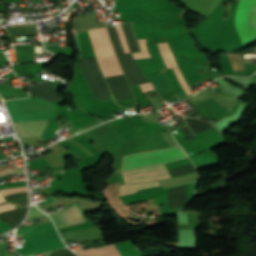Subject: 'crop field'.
I'll use <instances>...</instances> for the list:
<instances>
[{"mask_svg": "<svg viewBox=\"0 0 256 256\" xmlns=\"http://www.w3.org/2000/svg\"><path fill=\"white\" fill-rule=\"evenodd\" d=\"M5 103L13 122L55 119L58 107L39 98L11 100Z\"/></svg>", "mask_w": 256, "mask_h": 256, "instance_id": "crop-field-1", "label": "crop field"}, {"mask_svg": "<svg viewBox=\"0 0 256 256\" xmlns=\"http://www.w3.org/2000/svg\"><path fill=\"white\" fill-rule=\"evenodd\" d=\"M96 55L115 54L106 27L88 31ZM105 79L124 75L115 55L96 56Z\"/></svg>", "mask_w": 256, "mask_h": 256, "instance_id": "crop-field-2", "label": "crop field"}, {"mask_svg": "<svg viewBox=\"0 0 256 256\" xmlns=\"http://www.w3.org/2000/svg\"><path fill=\"white\" fill-rule=\"evenodd\" d=\"M186 157L179 145L170 148L127 155L123 157L122 171L175 161Z\"/></svg>", "mask_w": 256, "mask_h": 256, "instance_id": "crop-field-3", "label": "crop field"}, {"mask_svg": "<svg viewBox=\"0 0 256 256\" xmlns=\"http://www.w3.org/2000/svg\"><path fill=\"white\" fill-rule=\"evenodd\" d=\"M243 46L256 41V0H240L234 20Z\"/></svg>", "mask_w": 256, "mask_h": 256, "instance_id": "crop-field-4", "label": "crop field"}, {"mask_svg": "<svg viewBox=\"0 0 256 256\" xmlns=\"http://www.w3.org/2000/svg\"><path fill=\"white\" fill-rule=\"evenodd\" d=\"M122 174L126 183H136L140 181L164 179L170 177L165 165L137 169L124 172Z\"/></svg>", "mask_w": 256, "mask_h": 256, "instance_id": "crop-field-5", "label": "crop field"}, {"mask_svg": "<svg viewBox=\"0 0 256 256\" xmlns=\"http://www.w3.org/2000/svg\"><path fill=\"white\" fill-rule=\"evenodd\" d=\"M49 215L52 217L57 229L87 221L77 204L71 205L67 209Z\"/></svg>", "mask_w": 256, "mask_h": 256, "instance_id": "crop-field-6", "label": "crop field"}, {"mask_svg": "<svg viewBox=\"0 0 256 256\" xmlns=\"http://www.w3.org/2000/svg\"><path fill=\"white\" fill-rule=\"evenodd\" d=\"M158 47L163 58V61L167 67V69L177 67L176 61L172 54V51L167 42L158 43ZM183 90L186 92L187 95L192 94L179 67L173 69Z\"/></svg>", "mask_w": 256, "mask_h": 256, "instance_id": "crop-field-7", "label": "crop field"}, {"mask_svg": "<svg viewBox=\"0 0 256 256\" xmlns=\"http://www.w3.org/2000/svg\"><path fill=\"white\" fill-rule=\"evenodd\" d=\"M21 137L41 135V132L47 125V120L36 122H18L15 123Z\"/></svg>", "mask_w": 256, "mask_h": 256, "instance_id": "crop-field-8", "label": "crop field"}, {"mask_svg": "<svg viewBox=\"0 0 256 256\" xmlns=\"http://www.w3.org/2000/svg\"><path fill=\"white\" fill-rule=\"evenodd\" d=\"M80 256H120L114 244L76 252Z\"/></svg>", "mask_w": 256, "mask_h": 256, "instance_id": "crop-field-9", "label": "crop field"}, {"mask_svg": "<svg viewBox=\"0 0 256 256\" xmlns=\"http://www.w3.org/2000/svg\"><path fill=\"white\" fill-rule=\"evenodd\" d=\"M27 209L28 208L25 207L17 210L6 211L0 214V219L9 223L14 228L24 218Z\"/></svg>", "mask_w": 256, "mask_h": 256, "instance_id": "crop-field-10", "label": "crop field"}, {"mask_svg": "<svg viewBox=\"0 0 256 256\" xmlns=\"http://www.w3.org/2000/svg\"><path fill=\"white\" fill-rule=\"evenodd\" d=\"M158 185H160L158 180L145 182V183H140V184H134V185H121V187H120V196L136 192V190H139V189L152 187V186H158Z\"/></svg>", "mask_w": 256, "mask_h": 256, "instance_id": "crop-field-11", "label": "crop field"}, {"mask_svg": "<svg viewBox=\"0 0 256 256\" xmlns=\"http://www.w3.org/2000/svg\"><path fill=\"white\" fill-rule=\"evenodd\" d=\"M147 47L159 68L165 67L159 54L157 44H147Z\"/></svg>", "mask_w": 256, "mask_h": 256, "instance_id": "crop-field-12", "label": "crop field"}, {"mask_svg": "<svg viewBox=\"0 0 256 256\" xmlns=\"http://www.w3.org/2000/svg\"><path fill=\"white\" fill-rule=\"evenodd\" d=\"M17 173H24V170L23 168L15 169L14 163L8 164V166L5 167H0V176Z\"/></svg>", "mask_w": 256, "mask_h": 256, "instance_id": "crop-field-13", "label": "crop field"}, {"mask_svg": "<svg viewBox=\"0 0 256 256\" xmlns=\"http://www.w3.org/2000/svg\"><path fill=\"white\" fill-rule=\"evenodd\" d=\"M140 46V49L142 52L139 53H133L131 54L133 59H137V58H143V57H149L151 56L145 46V39H138L137 40Z\"/></svg>", "mask_w": 256, "mask_h": 256, "instance_id": "crop-field-14", "label": "crop field"}, {"mask_svg": "<svg viewBox=\"0 0 256 256\" xmlns=\"http://www.w3.org/2000/svg\"><path fill=\"white\" fill-rule=\"evenodd\" d=\"M194 171H195V168H194L193 164L187 165V166H184V167H180V168H176V169H173V170H169L172 177L182 175V174H186V173H190V172H194Z\"/></svg>", "mask_w": 256, "mask_h": 256, "instance_id": "crop-field-15", "label": "crop field"}, {"mask_svg": "<svg viewBox=\"0 0 256 256\" xmlns=\"http://www.w3.org/2000/svg\"><path fill=\"white\" fill-rule=\"evenodd\" d=\"M115 27H116L117 34H118V36H119V39H120V41H121L122 47H123V49H124V52H125V53L130 52V51H129V48H128V45H127V43H126L124 34H123L122 26H121V25H117V26H115Z\"/></svg>", "mask_w": 256, "mask_h": 256, "instance_id": "crop-field-16", "label": "crop field"}, {"mask_svg": "<svg viewBox=\"0 0 256 256\" xmlns=\"http://www.w3.org/2000/svg\"><path fill=\"white\" fill-rule=\"evenodd\" d=\"M0 256H15V253H7L6 241L0 242Z\"/></svg>", "mask_w": 256, "mask_h": 256, "instance_id": "crop-field-17", "label": "crop field"}, {"mask_svg": "<svg viewBox=\"0 0 256 256\" xmlns=\"http://www.w3.org/2000/svg\"><path fill=\"white\" fill-rule=\"evenodd\" d=\"M50 255L51 256H75L73 253H71L67 249L56 251V252H52Z\"/></svg>", "mask_w": 256, "mask_h": 256, "instance_id": "crop-field-18", "label": "crop field"}, {"mask_svg": "<svg viewBox=\"0 0 256 256\" xmlns=\"http://www.w3.org/2000/svg\"><path fill=\"white\" fill-rule=\"evenodd\" d=\"M26 196H28L27 193H20V194L5 196V199H6V201H9V200H13V199L20 198V197H26Z\"/></svg>", "mask_w": 256, "mask_h": 256, "instance_id": "crop-field-19", "label": "crop field"}, {"mask_svg": "<svg viewBox=\"0 0 256 256\" xmlns=\"http://www.w3.org/2000/svg\"><path fill=\"white\" fill-rule=\"evenodd\" d=\"M181 129H182L183 133L185 134V136L187 137L188 141L194 139L193 135L191 134V132H190V130L188 129L187 126L186 127H182Z\"/></svg>", "mask_w": 256, "mask_h": 256, "instance_id": "crop-field-20", "label": "crop field"}, {"mask_svg": "<svg viewBox=\"0 0 256 256\" xmlns=\"http://www.w3.org/2000/svg\"><path fill=\"white\" fill-rule=\"evenodd\" d=\"M40 215H44V213L36 208H33L30 212V215L28 217L29 218H33V217H37V216H40Z\"/></svg>", "mask_w": 256, "mask_h": 256, "instance_id": "crop-field-21", "label": "crop field"}, {"mask_svg": "<svg viewBox=\"0 0 256 256\" xmlns=\"http://www.w3.org/2000/svg\"><path fill=\"white\" fill-rule=\"evenodd\" d=\"M110 96H111V95H110ZM111 99H113L112 96H111Z\"/></svg>", "mask_w": 256, "mask_h": 256, "instance_id": "crop-field-22", "label": "crop field"}, {"mask_svg": "<svg viewBox=\"0 0 256 256\" xmlns=\"http://www.w3.org/2000/svg\"><path fill=\"white\" fill-rule=\"evenodd\" d=\"M44 223V222H43ZM40 224V223H39Z\"/></svg>", "mask_w": 256, "mask_h": 256, "instance_id": "crop-field-23", "label": "crop field"}]
</instances>
